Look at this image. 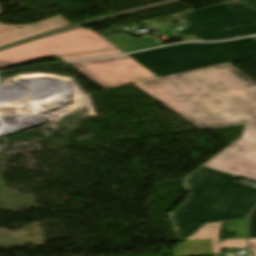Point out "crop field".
I'll list each match as a JSON object with an SVG mask.
<instances>
[{
    "instance_id": "obj_18",
    "label": "crop field",
    "mask_w": 256,
    "mask_h": 256,
    "mask_svg": "<svg viewBox=\"0 0 256 256\" xmlns=\"http://www.w3.org/2000/svg\"><path fill=\"white\" fill-rule=\"evenodd\" d=\"M256 250V239H249V251Z\"/></svg>"
},
{
    "instance_id": "obj_1",
    "label": "crop field",
    "mask_w": 256,
    "mask_h": 256,
    "mask_svg": "<svg viewBox=\"0 0 256 256\" xmlns=\"http://www.w3.org/2000/svg\"><path fill=\"white\" fill-rule=\"evenodd\" d=\"M135 85L200 130L256 122V83L229 63Z\"/></svg>"
},
{
    "instance_id": "obj_9",
    "label": "crop field",
    "mask_w": 256,
    "mask_h": 256,
    "mask_svg": "<svg viewBox=\"0 0 256 256\" xmlns=\"http://www.w3.org/2000/svg\"><path fill=\"white\" fill-rule=\"evenodd\" d=\"M226 222L227 221L204 224L197 232L184 241L209 239L211 242L212 254H220V249L247 248V239H232L218 242L221 224Z\"/></svg>"
},
{
    "instance_id": "obj_17",
    "label": "crop field",
    "mask_w": 256,
    "mask_h": 256,
    "mask_svg": "<svg viewBox=\"0 0 256 256\" xmlns=\"http://www.w3.org/2000/svg\"><path fill=\"white\" fill-rule=\"evenodd\" d=\"M236 9H240V8H247L248 6H246L245 4H243L242 2L235 0V1H231L230 2Z\"/></svg>"
},
{
    "instance_id": "obj_11",
    "label": "crop field",
    "mask_w": 256,
    "mask_h": 256,
    "mask_svg": "<svg viewBox=\"0 0 256 256\" xmlns=\"http://www.w3.org/2000/svg\"><path fill=\"white\" fill-rule=\"evenodd\" d=\"M104 39L117 48L135 45H147L156 42L154 37L134 39L129 35L108 36Z\"/></svg>"
},
{
    "instance_id": "obj_7",
    "label": "crop field",
    "mask_w": 256,
    "mask_h": 256,
    "mask_svg": "<svg viewBox=\"0 0 256 256\" xmlns=\"http://www.w3.org/2000/svg\"><path fill=\"white\" fill-rule=\"evenodd\" d=\"M203 166L256 181V123L246 124L241 138Z\"/></svg>"
},
{
    "instance_id": "obj_16",
    "label": "crop field",
    "mask_w": 256,
    "mask_h": 256,
    "mask_svg": "<svg viewBox=\"0 0 256 256\" xmlns=\"http://www.w3.org/2000/svg\"><path fill=\"white\" fill-rule=\"evenodd\" d=\"M158 45L159 44L148 46V47L137 46V47H131V48H123V49H120V50L123 51L124 53H127V52H131V51H136V50H140V49H145V48H149V47L158 46Z\"/></svg>"
},
{
    "instance_id": "obj_20",
    "label": "crop field",
    "mask_w": 256,
    "mask_h": 256,
    "mask_svg": "<svg viewBox=\"0 0 256 256\" xmlns=\"http://www.w3.org/2000/svg\"><path fill=\"white\" fill-rule=\"evenodd\" d=\"M156 30H157L158 32H160V33L172 31L168 26L161 27V28H157Z\"/></svg>"
},
{
    "instance_id": "obj_6",
    "label": "crop field",
    "mask_w": 256,
    "mask_h": 256,
    "mask_svg": "<svg viewBox=\"0 0 256 256\" xmlns=\"http://www.w3.org/2000/svg\"><path fill=\"white\" fill-rule=\"evenodd\" d=\"M70 64L104 89L156 77L127 55Z\"/></svg>"
},
{
    "instance_id": "obj_22",
    "label": "crop field",
    "mask_w": 256,
    "mask_h": 256,
    "mask_svg": "<svg viewBox=\"0 0 256 256\" xmlns=\"http://www.w3.org/2000/svg\"><path fill=\"white\" fill-rule=\"evenodd\" d=\"M253 254H254V256H256V252H254Z\"/></svg>"
},
{
    "instance_id": "obj_3",
    "label": "crop field",
    "mask_w": 256,
    "mask_h": 256,
    "mask_svg": "<svg viewBox=\"0 0 256 256\" xmlns=\"http://www.w3.org/2000/svg\"><path fill=\"white\" fill-rule=\"evenodd\" d=\"M254 53L256 40L247 38L223 43L179 44L128 56L161 77L243 59Z\"/></svg>"
},
{
    "instance_id": "obj_10",
    "label": "crop field",
    "mask_w": 256,
    "mask_h": 256,
    "mask_svg": "<svg viewBox=\"0 0 256 256\" xmlns=\"http://www.w3.org/2000/svg\"><path fill=\"white\" fill-rule=\"evenodd\" d=\"M210 254L211 249L209 240L182 242L179 246L173 249V256H199Z\"/></svg>"
},
{
    "instance_id": "obj_19",
    "label": "crop field",
    "mask_w": 256,
    "mask_h": 256,
    "mask_svg": "<svg viewBox=\"0 0 256 256\" xmlns=\"http://www.w3.org/2000/svg\"><path fill=\"white\" fill-rule=\"evenodd\" d=\"M243 3L256 10V0H246Z\"/></svg>"
},
{
    "instance_id": "obj_14",
    "label": "crop field",
    "mask_w": 256,
    "mask_h": 256,
    "mask_svg": "<svg viewBox=\"0 0 256 256\" xmlns=\"http://www.w3.org/2000/svg\"><path fill=\"white\" fill-rule=\"evenodd\" d=\"M249 238H256V208L249 217Z\"/></svg>"
},
{
    "instance_id": "obj_8",
    "label": "crop field",
    "mask_w": 256,
    "mask_h": 256,
    "mask_svg": "<svg viewBox=\"0 0 256 256\" xmlns=\"http://www.w3.org/2000/svg\"><path fill=\"white\" fill-rule=\"evenodd\" d=\"M66 25L70 23L60 16L32 25L8 26L0 23V46Z\"/></svg>"
},
{
    "instance_id": "obj_13",
    "label": "crop field",
    "mask_w": 256,
    "mask_h": 256,
    "mask_svg": "<svg viewBox=\"0 0 256 256\" xmlns=\"http://www.w3.org/2000/svg\"><path fill=\"white\" fill-rule=\"evenodd\" d=\"M119 53H122V52L119 49H114V50H106V51H99V52L79 54V55L63 56V57H60V58H61L62 61H66V60H72V59L113 55V54H119Z\"/></svg>"
},
{
    "instance_id": "obj_21",
    "label": "crop field",
    "mask_w": 256,
    "mask_h": 256,
    "mask_svg": "<svg viewBox=\"0 0 256 256\" xmlns=\"http://www.w3.org/2000/svg\"><path fill=\"white\" fill-rule=\"evenodd\" d=\"M178 32H180L182 35H184V36H188V35H190L189 33H187L184 29H182V30H178Z\"/></svg>"
},
{
    "instance_id": "obj_4",
    "label": "crop field",
    "mask_w": 256,
    "mask_h": 256,
    "mask_svg": "<svg viewBox=\"0 0 256 256\" xmlns=\"http://www.w3.org/2000/svg\"><path fill=\"white\" fill-rule=\"evenodd\" d=\"M90 29H76L0 51V67L57 55L113 49Z\"/></svg>"
},
{
    "instance_id": "obj_2",
    "label": "crop field",
    "mask_w": 256,
    "mask_h": 256,
    "mask_svg": "<svg viewBox=\"0 0 256 256\" xmlns=\"http://www.w3.org/2000/svg\"><path fill=\"white\" fill-rule=\"evenodd\" d=\"M237 176L201 166L184 179L191 192L176 212H169L178 239L192 234L205 222L244 218L256 203V189L234 182Z\"/></svg>"
},
{
    "instance_id": "obj_5",
    "label": "crop field",
    "mask_w": 256,
    "mask_h": 256,
    "mask_svg": "<svg viewBox=\"0 0 256 256\" xmlns=\"http://www.w3.org/2000/svg\"><path fill=\"white\" fill-rule=\"evenodd\" d=\"M198 41L223 40L256 34V11L236 10L229 2L194 11L185 28Z\"/></svg>"
},
{
    "instance_id": "obj_15",
    "label": "crop field",
    "mask_w": 256,
    "mask_h": 256,
    "mask_svg": "<svg viewBox=\"0 0 256 256\" xmlns=\"http://www.w3.org/2000/svg\"><path fill=\"white\" fill-rule=\"evenodd\" d=\"M193 11H189V12H185V13H180V14H175V15H173V17H175L177 20L182 22L184 27H186L190 23L191 15H192Z\"/></svg>"
},
{
    "instance_id": "obj_12",
    "label": "crop field",
    "mask_w": 256,
    "mask_h": 256,
    "mask_svg": "<svg viewBox=\"0 0 256 256\" xmlns=\"http://www.w3.org/2000/svg\"><path fill=\"white\" fill-rule=\"evenodd\" d=\"M227 232H235L236 238H247V219L228 221Z\"/></svg>"
}]
</instances>
